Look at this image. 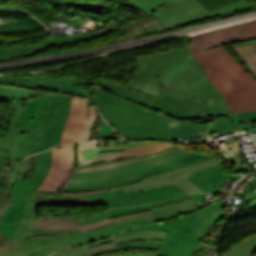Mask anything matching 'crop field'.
Here are the masks:
<instances>
[{
    "label": "crop field",
    "instance_id": "obj_1",
    "mask_svg": "<svg viewBox=\"0 0 256 256\" xmlns=\"http://www.w3.org/2000/svg\"><path fill=\"white\" fill-rule=\"evenodd\" d=\"M137 63L136 74L125 88L104 80L98 87L180 119L231 117L224 97L211 84L187 46L137 57Z\"/></svg>",
    "mask_w": 256,
    "mask_h": 256
},
{
    "label": "crop field",
    "instance_id": "obj_2",
    "mask_svg": "<svg viewBox=\"0 0 256 256\" xmlns=\"http://www.w3.org/2000/svg\"><path fill=\"white\" fill-rule=\"evenodd\" d=\"M210 158L214 157L176 146L131 159L76 167L59 193L111 188Z\"/></svg>",
    "mask_w": 256,
    "mask_h": 256
},
{
    "label": "crop field",
    "instance_id": "obj_3",
    "mask_svg": "<svg viewBox=\"0 0 256 256\" xmlns=\"http://www.w3.org/2000/svg\"><path fill=\"white\" fill-rule=\"evenodd\" d=\"M91 100L104 119L126 138L175 140L205 135L209 125L169 118L99 88Z\"/></svg>",
    "mask_w": 256,
    "mask_h": 256
},
{
    "label": "crop field",
    "instance_id": "obj_4",
    "mask_svg": "<svg viewBox=\"0 0 256 256\" xmlns=\"http://www.w3.org/2000/svg\"><path fill=\"white\" fill-rule=\"evenodd\" d=\"M40 199L52 201H84L103 200V197L101 193L84 196H53L34 191L32 195L27 198L25 216L23 217L15 234V249L6 256H47L65 248L96 240L102 237L111 236L135 225L156 222L154 216L151 215L117 223L96 231H90L86 233L67 236H36L26 239L29 233L32 231L37 219L35 211Z\"/></svg>",
    "mask_w": 256,
    "mask_h": 256
},
{
    "label": "crop field",
    "instance_id": "obj_5",
    "mask_svg": "<svg viewBox=\"0 0 256 256\" xmlns=\"http://www.w3.org/2000/svg\"><path fill=\"white\" fill-rule=\"evenodd\" d=\"M194 56L225 97L231 113L256 111V80L222 46L194 53Z\"/></svg>",
    "mask_w": 256,
    "mask_h": 256
},
{
    "label": "crop field",
    "instance_id": "obj_6",
    "mask_svg": "<svg viewBox=\"0 0 256 256\" xmlns=\"http://www.w3.org/2000/svg\"><path fill=\"white\" fill-rule=\"evenodd\" d=\"M118 4L150 14L166 28L250 8L245 0L210 12L197 0H129Z\"/></svg>",
    "mask_w": 256,
    "mask_h": 256
},
{
    "label": "crop field",
    "instance_id": "obj_7",
    "mask_svg": "<svg viewBox=\"0 0 256 256\" xmlns=\"http://www.w3.org/2000/svg\"><path fill=\"white\" fill-rule=\"evenodd\" d=\"M49 96L50 106L46 115L36 129L29 128L22 159L33 153L58 147L60 144L71 97Z\"/></svg>",
    "mask_w": 256,
    "mask_h": 256
},
{
    "label": "crop field",
    "instance_id": "obj_8",
    "mask_svg": "<svg viewBox=\"0 0 256 256\" xmlns=\"http://www.w3.org/2000/svg\"><path fill=\"white\" fill-rule=\"evenodd\" d=\"M97 140L79 144V165L139 156L176 146L166 141H130V145L96 148Z\"/></svg>",
    "mask_w": 256,
    "mask_h": 256
},
{
    "label": "crop field",
    "instance_id": "obj_9",
    "mask_svg": "<svg viewBox=\"0 0 256 256\" xmlns=\"http://www.w3.org/2000/svg\"><path fill=\"white\" fill-rule=\"evenodd\" d=\"M105 201H85V202H52L41 201L39 206L44 205H107L109 208H121L146 203H153L161 200L175 198L184 193L177 186H169L158 189L146 190L143 192L124 194L123 190L108 191L102 193Z\"/></svg>",
    "mask_w": 256,
    "mask_h": 256
},
{
    "label": "crop field",
    "instance_id": "obj_10",
    "mask_svg": "<svg viewBox=\"0 0 256 256\" xmlns=\"http://www.w3.org/2000/svg\"><path fill=\"white\" fill-rule=\"evenodd\" d=\"M221 163L217 158L210 159L207 161L195 163L193 165L176 169L167 173L154 175L152 177L143 178L142 181L111 188L110 190H116L123 188L125 193H132L143 191L150 188H157L175 184L180 187L183 191L188 193L204 192L191 182L186 176L191 175L190 172L203 170L206 168L220 165Z\"/></svg>",
    "mask_w": 256,
    "mask_h": 256
},
{
    "label": "crop field",
    "instance_id": "obj_11",
    "mask_svg": "<svg viewBox=\"0 0 256 256\" xmlns=\"http://www.w3.org/2000/svg\"><path fill=\"white\" fill-rule=\"evenodd\" d=\"M193 36L188 45L192 53L250 39H256V20H251Z\"/></svg>",
    "mask_w": 256,
    "mask_h": 256
},
{
    "label": "crop field",
    "instance_id": "obj_12",
    "mask_svg": "<svg viewBox=\"0 0 256 256\" xmlns=\"http://www.w3.org/2000/svg\"><path fill=\"white\" fill-rule=\"evenodd\" d=\"M81 77L48 78L43 76L0 77V85L53 91L90 98L92 90L79 88Z\"/></svg>",
    "mask_w": 256,
    "mask_h": 256
},
{
    "label": "crop field",
    "instance_id": "obj_13",
    "mask_svg": "<svg viewBox=\"0 0 256 256\" xmlns=\"http://www.w3.org/2000/svg\"><path fill=\"white\" fill-rule=\"evenodd\" d=\"M97 111L85 99L73 98L61 145L85 142Z\"/></svg>",
    "mask_w": 256,
    "mask_h": 256
},
{
    "label": "crop field",
    "instance_id": "obj_14",
    "mask_svg": "<svg viewBox=\"0 0 256 256\" xmlns=\"http://www.w3.org/2000/svg\"><path fill=\"white\" fill-rule=\"evenodd\" d=\"M41 184L16 180L11 192V205L0 218V220H3V222H0V236L3 239L13 240L14 234L24 215L26 198Z\"/></svg>",
    "mask_w": 256,
    "mask_h": 256
},
{
    "label": "crop field",
    "instance_id": "obj_15",
    "mask_svg": "<svg viewBox=\"0 0 256 256\" xmlns=\"http://www.w3.org/2000/svg\"><path fill=\"white\" fill-rule=\"evenodd\" d=\"M52 153V168L44 179V184L36 190L56 195L73 170V145L54 149Z\"/></svg>",
    "mask_w": 256,
    "mask_h": 256
},
{
    "label": "crop field",
    "instance_id": "obj_16",
    "mask_svg": "<svg viewBox=\"0 0 256 256\" xmlns=\"http://www.w3.org/2000/svg\"><path fill=\"white\" fill-rule=\"evenodd\" d=\"M114 30L112 26L108 28H103L97 32L84 35L66 36V37H55L40 42H35L27 45H21L17 47H1L0 48V59L10 58L11 56H23L36 54L42 50L59 46V45H69L72 43L83 42L91 38H95L104 35L110 31Z\"/></svg>",
    "mask_w": 256,
    "mask_h": 256
},
{
    "label": "crop field",
    "instance_id": "obj_17",
    "mask_svg": "<svg viewBox=\"0 0 256 256\" xmlns=\"http://www.w3.org/2000/svg\"><path fill=\"white\" fill-rule=\"evenodd\" d=\"M28 167L29 160L26 158L20 163H15L13 161L12 172H8L5 168L4 171L0 173V215L10 204V192L16 178L23 179L27 173ZM12 249H14L13 241H6L0 237V256L6 255Z\"/></svg>",
    "mask_w": 256,
    "mask_h": 256
},
{
    "label": "crop field",
    "instance_id": "obj_18",
    "mask_svg": "<svg viewBox=\"0 0 256 256\" xmlns=\"http://www.w3.org/2000/svg\"><path fill=\"white\" fill-rule=\"evenodd\" d=\"M194 214L195 212L190 215H186L162 223L143 225L132 229H127L125 232H122L119 235L141 230H164L168 231L165 235L166 238L197 244L200 241L201 237L184 231L187 223Z\"/></svg>",
    "mask_w": 256,
    "mask_h": 256
},
{
    "label": "crop field",
    "instance_id": "obj_19",
    "mask_svg": "<svg viewBox=\"0 0 256 256\" xmlns=\"http://www.w3.org/2000/svg\"><path fill=\"white\" fill-rule=\"evenodd\" d=\"M24 101L10 102L9 112L0 133V170L7 165L18 121L23 113Z\"/></svg>",
    "mask_w": 256,
    "mask_h": 256
},
{
    "label": "crop field",
    "instance_id": "obj_20",
    "mask_svg": "<svg viewBox=\"0 0 256 256\" xmlns=\"http://www.w3.org/2000/svg\"><path fill=\"white\" fill-rule=\"evenodd\" d=\"M26 107L18 126L24 127L21 144L18 150L17 159L20 160L24 149L28 127L36 128L45 115L49 106L48 95L26 100Z\"/></svg>",
    "mask_w": 256,
    "mask_h": 256
},
{
    "label": "crop field",
    "instance_id": "obj_21",
    "mask_svg": "<svg viewBox=\"0 0 256 256\" xmlns=\"http://www.w3.org/2000/svg\"><path fill=\"white\" fill-rule=\"evenodd\" d=\"M215 247L199 242L197 245L164 238L156 256H214Z\"/></svg>",
    "mask_w": 256,
    "mask_h": 256
},
{
    "label": "crop field",
    "instance_id": "obj_22",
    "mask_svg": "<svg viewBox=\"0 0 256 256\" xmlns=\"http://www.w3.org/2000/svg\"><path fill=\"white\" fill-rule=\"evenodd\" d=\"M223 202L220 200L198 210L191 218L186 231L203 236L210 225L222 218L227 212L222 211Z\"/></svg>",
    "mask_w": 256,
    "mask_h": 256
},
{
    "label": "crop field",
    "instance_id": "obj_23",
    "mask_svg": "<svg viewBox=\"0 0 256 256\" xmlns=\"http://www.w3.org/2000/svg\"><path fill=\"white\" fill-rule=\"evenodd\" d=\"M113 219H108L101 222H96L84 226H79L76 217L71 218H51V217H38L35 229L40 230H68V229H81L82 232L89 230H96L101 227L113 224Z\"/></svg>",
    "mask_w": 256,
    "mask_h": 256
},
{
    "label": "crop field",
    "instance_id": "obj_24",
    "mask_svg": "<svg viewBox=\"0 0 256 256\" xmlns=\"http://www.w3.org/2000/svg\"><path fill=\"white\" fill-rule=\"evenodd\" d=\"M199 208L198 203L193 199H189L185 202L171 205L164 208L154 209L152 212L156 218V221H162L171 217H175L187 212L197 210Z\"/></svg>",
    "mask_w": 256,
    "mask_h": 256
},
{
    "label": "crop field",
    "instance_id": "obj_25",
    "mask_svg": "<svg viewBox=\"0 0 256 256\" xmlns=\"http://www.w3.org/2000/svg\"><path fill=\"white\" fill-rule=\"evenodd\" d=\"M228 177L229 176L225 175L223 171L198 179H196L193 175L188 176V178L198 185L202 190L211 193H217Z\"/></svg>",
    "mask_w": 256,
    "mask_h": 256
},
{
    "label": "crop field",
    "instance_id": "obj_26",
    "mask_svg": "<svg viewBox=\"0 0 256 256\" xmlns=\"http://www.w3.org/2000/svg\"><path fill=\"white\" fill-rule=\"evenodd\" d=\"M256 75V40L230 45Z\"/></svg>",
    "mask_w": 256,
    "mask_h": 256
},
{
    "label": "crop field",
    "instance_id": "obj_27",
    "mask_svg": "<svg viewBox=\"0 0 256 256\" xmlns=\"http://www.w3.org/2000/svg\"><path fill=\"white\" fill-rule=\"evenodd\" d=\"M51 150L36 155V167L29 181L42 182L51 167Z\"/></svg>",
    "mask_w": 256,
    "mask_h": 256
},
{
    "label": "crop field",
    "instance_id": "obj_28",
    "mask_svg": "<svg viewBox=\"0 0 256 256\" xmlns=\"http://www.w3.org/2000/svg\"><path fill=\"white\" fill-rule=\"evenodd\" d=\"M165 234L164 231H142L114 237L113 239L115 244L137 240H162Z\"/></svg>",
    "mask_w": 256,
    "mask_h": 256
},
{
    "label": "crop field",
    "instance_id": "obj_29",
    "mask_svg": "<svg viewBox=\"0 0 256 256\" xmlns=\"http://www.w3.org/2000/svg\"><path fill=\"white\" fill-rule=\"evenodd\" d=\"M36 94V92L26 91L22 89L0 87V102H7L12 100H26L34 98Z\"/></svg>",
    "mask_w": 256,
    "mask_h": 256
},
{
    "label": "crop field",
    "instance_id": "obj_30",
    "mask_svg": "<svg viewBox=\"0 0 256 256\" xmlns=\"http://www.w3.org/2000/svg\"><path fill=\"white\" fill-rule=\"evenodd\" d=\"M256 250V235L232 247L224 256H252Z\"/></svg>",
    "mask_w": 256,
    "mask_h": 256
},
{
    "label": "crop field",
    "instance_id": "obj_31",
    "mask_svg": "<svg viewBox=\"0 0 256 256\" xmlns=\"http://www.w3.org/2000/svg\"><path fill=\"white\" fill-rule=\"evenodd\" d=\"M241 131L245 130L243 124L238 125H232L231 121L227 118H217V122L214 124H211L208 134H214V133H228L232 131Z\"/></svg>",
    "mask_w": 256,
    "mask_h": 256
},
{
    "label": "crop field",
    "instance_id": "obj_32",
    "mask_svg": "<svg viewBox=\"0 0 256 256\" xmlns=\"http://www.w3.org/2000/svg\"><path fill=\"white\" fill-rule=\"evenodd\" d=\"M148 208H150L149 205L133 207V208H126V209L109 210V214L96 216V217H91V218H86V219H81V220H78V221H79L80 225H83V224H87V223H92V222H96V221L105 220V219H108V218L113 217V216H118V215L131 213V212H135V211H140V210H144V209H148Z\"/></svg>",
    "mask_w": 256,
    "mask_h": 256
},
{
    "label": "crop field",
    "instance_id": "obj_33",
    "mask_svg": "<svg viewBox=\"0 0 256 256\" xmlns=\"http://www.w3.org/2000/svg\"><path fill=\"white\" fill-rule=\"evenodd\" d=\"M110 241H112L111 237L107 238V239H104V240H101V241H97V242L88 243V244H85V245H82V246L74 247V248H71V249L66 250V251L58 252V253H56L52 256H75V255H78V254H81V253H84V252H88L89 251L88 247L103 244V243H107V242H110Z\"/></svg>",
    "mask_w": 256,
    "mask_h": 256
},
{
    "label": "crop field",
    "instance_id": "obj_34",
    "mask_svg": "<svg viewBox=\"0 0 256 256\" xmlns=\"http://www.w3.org/2000/svg\"><path fill=\"white\" fill-rule=\"evenodd\" d=\"M209 11L215 8L226 6L240 0H198Z\"/></svg>",
    "mask_w": 256,
    "mask_h": 256
},
{
    "label": "crop field",
    "instance_id": "obj_35",
    "mask_svg": "<svg viewBox=\"0 0 256 256\" xmlns=\"http://www.w3.org/2000/svg\"><path fill=\"white\" fill-rule=\"evenodd\" d=\"M233 117V123L235 122H250V121H256V112L250 111V112H244V113H235L231 114Z\"/></svg>",
    "mask_w": 256,
    "mask_h": 256
},
{
    "label": "crop field",
    "instance_id": "obj_36",
    "mask_svg": "<svg viewBox=\"0 0 256 256\" xmlns=\"http://www.w3.org/2000/svg\"><path fill=\"white\" fill-rule=\"evenodd\" d=\"M81 230H69V231H39V230H35L33 229V231L31 232V234L28 236L32 237L35 235H67V234H75V233H80Z\"/></svg>",
    "mask_w": 256,
    "mask_h": 256
},
{
    "label": "crop field",
    "instance_id": "obj_37",
    "mask_svg": "<svg viewBox=\"0 0 256 256\" xmlns=\"http://www.w3.org/2000/svg\"><path fill=\"white\" fill-rule=\"evenodd\" d=\"M22 129L23 128H20V127H18V129H17V133H16V136L14 139V143H13V147H12V151H11V155H10L11 158L9 160H15V158H16L17 149L20 144Z\"/></svg>",
    "mask_w": 256,
    "mask_h": 256
},
{
    "label": "crop field",
    "instance_id": "obj_38",
    "mask_svg": "<svg viewBox=\"0 0 256 256\" xmlns=\"http://www.w3.org/2000/svg\"><path fill=\"white\" fill-rule=\"evenodd\" d=\"M188 198H191L189 195L185 196V197H182V198H178V199H174V200H170V201H165V202H161V203H156V204H152L150 205L151 206V209H154V208H159V207H164V206H167V205H171V204H175V203H178V202H182Z\"/></svg>",
    "mask_w": 256,
    "mask_h": 256
},
{
    "label": "crop field",
    "instance_id": "obj_39",
    "mask_svg": "<svg viewBox=\"0 0 256 256\" xmlns=\"http://www.w3.org/2000/svg\"><path fill=\"white\" fill-rule=\"evenodd\" d=\"M113 248H115V247H114V244L111 243V244H107V245H103V246L91 248V249H89L90 252L85 253V254H81V255H78V256H91L90 253H93V252H100V251L109 250V249H113Z\"/></svg>",
    "mask_w": 256,
    "mask_h": 256
},
{
    "label": "crop field",
    "instance_id": "obj_40",
    "mask_svg": "<svg viewBox=\"0 0 256 256\" xmlns=\"http://www.w3.org/2000/svg\"><path fill=\"white\" fill-rule=\"evenodd\" d=\"M151 214H152V212L144 213V214H138V215H133V216H129V217H125V218L113 220V221H114L115 223H117V222L129 220V219H133V218H138V217H142V216H146V215H151Z\"/></svg>",
    "mask_w": 256,
    "mask_h": 256
},
{
    "label": "crop field",
    "instance_id": "obj_41",
    "mask_svg": "<svg viewBox=\"0 0 256 256\" xmlns=\"http://www.w3.org/2000/svg\"><path fill=\"white\" fill-rule=\"evenodd\" d=\"M100 133H116L104 121H102Z\"/></svg>",
    "mask_w": 256,
    "mask_h": 256
},
{
    "label": "crop field",
    "instance_id": "obj_42",
    "mask_svg": "<svg viewBox=\"0 0 256 256\" xmlns=\"http://www.w3.org/2000/svg\"><path fill=\"white\" fill-rule=\"evenodd\" d=\"M133 248H156V249H158L159 247H156V246H138V247H133ZM123 249H126V248H123ZM118 250H122V249H113V250L104 251V252H100V253H94V254H92V256L99 255V254H104V253H108V252H113V251H118Z\"/></svg>",
    "mask_w": 256,
    "mask_h": 256
},
{
    "label": "crop field",
    "instance_id": "obj_43",
    "mask_svg": "<svg viewBox=\"0 0 256 256\" xmlns=\"http://www.w3.org/2000/svg\"><path fill=\"white\" fill-rule=\"evenodd\" d=\"M108 190H109V189H106V190H98V191H90V192H82V193L57 194V195H84V194H91V193L104 192V191H108Z\"/></svg>",
    "mask_w": 256,
    "mask_h": 256
},
{
    "label": "crop field",
    "instance_id": "obj_44",
    "mask_svg": "<svg viewBox=\"0 0 256 256\" xmlns=\"http://www.w3.org/2000/svg\"><path fill=\"white\" fill-rule=\"evenodd\" d=\"M205 194H191L190 196H192L197 202H199V204L203 203V201L200 198H203Z\"/></svg>",
    "mask_w": 256,
    "mask_h": 256
},
{
    "label": "crop field",
    "instance_id": "obj_45",
    "mask_svg": "<svg viewBox=\"0 0 256 256\" xmlns=\"http://www.w3.org/2000/svg\"><path fill=\"white\" fill-rule=\"evenodd\" d=\"M30 168L29 169H34L35 167V155L34 156H30Z\"/></svg>",
    "mask_w": 256,
    "mask_h": 256
},
{
    "label": "crop field",
    "instance_id": "obj_46",
    "mask_svg": "<svg viewBox=\"0 0 256 256\" xmlns=\"http://www.w3.org/2000/svg\"><path fill=\"white\" fill-rule=\"evenodd\" d=\"M137 242H161V241H137ZM133 243V242H131ZM126 244V243H125ZM120 245V244H119Z\"/></svg>",
    "mask_w": 256,
    "mask_h": 256
},
{
    "label": "crop field",
    "instance_id": "obj_47",
    "mask_svg": "<svg viewBox=\"0 0 256 256\" xmlns=\"http://www.w3.org/2000/svg\"><path fill=\"white\" fill-rule=\"evenodd\" d=\"M111 1H115V2H122V1H126V0H111Z\"/></svg>",
    "mask_w": 256,
    "mask_h": 256
},
{
    "label": "crop field",
    "instance_id": "obj_48",
    "mask_svg": "<svg viewBox=\"0 0 256 256\" xmlns=\"http://www.w3.org/2000/svg\"><path fill=\"white\" fill-rule=\"evenodd\" d=\"M250 205H251L252 207L255 206V205H256V201L250 203Z\"/></svg>",
    "mask_w": 256,
    "mask_h": 256
},
{
    "label": "crop field",
    "instance_id": "obj_49",
    "mask_svg": "<svg viewBox=\"0 0 256 256\" xmlns=\"http://www.w3.org/2000/svg\"><path fill=\"white\" fill-rule=\"evenodd\" d=\"M253 256H255V255H253Z\"/></svg>",
    "mask_w": 256,
    "mask_h": 256
}]
</instances>
